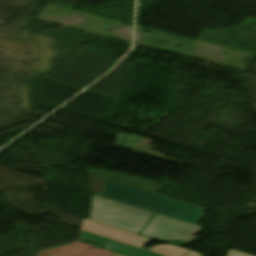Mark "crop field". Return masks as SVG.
I'll use <instances>...</instances> for the list:
<instances>
[{
    "label": "crop field",
    "mask_w": 256,
    "mask_h": 256,
    "mask_svg": "<svg viewBox=\"0 0 256 256\" xmlns=\"http://www.w3.org/2000/svg\"><path fill=\"white\" fill-rule=\"evenodd\" d=\"M228 256H251V255L231 250L229 251Z\"/></svg>",
    "instance_id": "obj_6"
},
{
    "label": "crop field",
    "mask_w": 256,
    "mask_h": 256,
    "mask_svg": "<svg viewBox=\"0 0 256 256\" xmlns=\"http://www.w3.org/2000/svg\"><path fill=\"white\" fill-rule=\"evenodd\" d=\"M89 175L93 191L95 193H101L107 174L90 170Z\"/></svg>",
    "instance_id": "obj_5"
},
{
    "label": "crop field",
    "mask_w": 256,
    "mask_h": 256,
    "mask_svg": "<svg viewBox=\"0 0 256 256\" xmlns=\"http://www.w3.org/2000/svg\"><path fill=\"white\" fill-rule=\"evenodd\" d=\"M162 187L141 178L109 172L103 196L189 222L199 220V207L153 195Z\"/></svg>",
    "instance_id": "obj_1"
},
{
    "label": "crop field",
    "mask_w": 256,
    "mask_h": 256,
    "mask_svg": "<svg viewBox=\"0 0 256 256\" xmlns=\"http://www.w3.org/2000/svg\"><path fill=\"white\" fill-rule=\"evenodd\" d=\"M115 256H120V255L115 254Z\"/></svg>",
    "instance_id": "obj_8"
},
{
    "label": "crop field",
    "mask_w": 256,
    "mask_h": 256,
    "mask_svg": "<svg viewBox=\"0 0 256 256\" xmlns=\"http://www.w3.org/2000/svg\"><path fill=\"white\" fill-rule=\"evenodd\" d=\"M184 256H203V255H200V254H198V253H195V252L190 251V252H188L187 254H185Z\"/></svg>",
    "instance_id": "obj_7"
},
{
    "label": "crop field",
    "mask_w": 256,
    "mask_h": 256,
    "mask_svg": "<svg viewBox=\"0 0 256 256\" xmlns=\"http://www.w3.org/2000/svg\"><path fill=\"white\" fill-rule=\"evenodd\" d=\"M153 214L94 195L90 219L138 234Z\"/></svg>",
    "instance_id": "obj_2"
},
{
    "label": "crop field",
    "mask_w": 256,
    "mask_h": 256,
    "mask_svg": "<svg viewBox=\"0 0 256 256\" xmlns=\"http://www.w3.org/2000/svg\"><path fill=\"white\" fill-rule=\"evenodd\" d=\"M79 241L123 256H162L84 231Z\"/></svg>",
    "instance_id": "obj_4"
},
{
    "label": "crop field",
    "mask_w": 256,
    "mask_h": 256,
    "mask_svg": "<svg viewBox=\"0 0 256 256\" xmlns=\"http://www.w3.org/2000/svg\"><path fill=\"white\" fill-rule=\"evenodd\" d=\"M200 230L197 225L155 214L141 234L160 240L180 239L189 242L197 238L192 235Z\"/></svg>",
    "instance_id": "obj_3"
}]
</instances>
